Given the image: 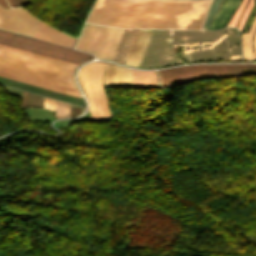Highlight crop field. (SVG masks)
<instances>
[{"instance_id": "1", "label": "crop field", "mask_w": 256, "mask_h": 256, "mask_svg": "<svg viewBox=\"0 0 256 256\" xmlns=\"http://www.w3.org/2000/svg\"><path fill=\"white\" fill-rule=\"evenodd\" d=\"M211 0H97L87 21L119 27L200 29Z\"/></svg>"}, {"instance_id": "2", "label": "crop field", "mask_w": 256, "mask_h": 256, "mask_svg": "<svg viewBox=\"0 0 256 256\" xmlns=\"http://www.w3.org/2000/svg\"><path fill=\"white\" fill-rule=\"evenodd\" d=\"M76 66L0 45V77L81 98L72 78Z\"/></svg>"}, {"instance_id": "3", "label": "crop field", "mask_w": 256, "mask_h": 256, "mask_svg": "<svg viewBox=\"0 0 256 256\" xmlns=\"http://www.w3.org/2000/svg\"><path fill=\"white\" fill-rule=\"evenodd\" d=\"M158 73L161 86L169 87L201 78L229 77L247 73H256V64L182 66L159 70Z\"/></svg>"}, {"instance_id": "4", "label": "crop field", "mask_w": 256, "mask_h": 256, "mask_svg": "<svg viewBox=\"0 0 256 256\" xmlns=\"http://www.w3.org/2000/svg\"><path fill=\"white\" fill-rule=\"evenodd\" d=\"M0 44L19 48L77 65L85 60L93 59V56L88 54L2 30H0Z\"/></svg>"}, {"instance_id": "5", "label": "crop field", "mask_w": 256, "mask_h": 256, "mask_svg": "<svg viewBox=\"0 0 256 256\" xmlns=\"http://www.w3.org/2000/svg\"><path fill=\"white\" fill-rule=\"evenodd\" d=\"M125 29L86 23L76 48L97 58L112 59Z\"/></svg>"}, {"instance_id": "6", "label": "crop field", "mask_w": 256, "mask_h": 256, "mask_svg": "<svg viewBox=\"0 0 256 256\" xmlns=\"http://www.w3.org/2000/svg\"><path fill=\"white\" fill-rule=\"evenodd\" d=\"M103 67L104 62H92L83 66L78 73L79 81L89 101L92 119L95 121L110 118L102 86Z\"/></svg>"}, {"instance_id": "7", "label": "crop field", "mask_w": 256, "mask_h": 256, "mask_svg": "<svg viewBox=\"0 0 256 256\" xmlns=\"http://www.w3.org/2000/svg\"><path fill=\"white\" fill-rule=\"evenodd\" d=\"M39 21L21 8L4 10L0 7V28L2 29L31 36Z\"/></svg>"}, {"instance_id": "8", "label": "crop field", "mask_w": 256, "mask_h": 256, "mask_svg": "<svg viewBox=\"0 0 256 256\" xmlns=\"http://www.w3.org/2000/svg\"><path fill=\"white\" fill-rule=\"evenodd\" d=\"M105 87H134L130 69L105 63Z\"/></svg>"}, {"instance_id": "9", "label": "crop field", "mask_w": 256, "mask_h": 256, "mask_svg": "<svg viewBox=\"0 0 256 256\" xmlns=\"http://www.w3.org/2000/svg\"><path fill=\"white\" fill-rule=\"evenodd\" d=\"M32 37H36L39 39L47 40L50 42H54L57 44L70 46V47L73 46V44L76 40L75 38H73L67 34H64L60 31H57V30L47 26L46 24H44L41 21H40L39 25L37 26L36 30L34 31V33L32 34Z\"/></svg>"}, {"instance_id": "10", "label": "crop field", "mask_w": 256, "mask_h": 256, "mask_svg": "<svg viewBox=\"0 0 256 256\" xmlns=\"http://www.w3.org/2000/svg\"><path fill=\"white\" fill-rule=\"evenodd\" d=\"M153 31L154 30H147V29L139 30L137 37L134 41V44L131 48V51L128 55V58L125 62L126 64L132 65V66L139 65Z\"/></svg>"}, {"instance_id": "11", "label": "crop field", "mask_w": 256, "mask_h": 256, "mask_svg": "<svg viewBox=\"0 0 256 256\" xmlns=\"http://www.w3.org/2000/svg\"><path fill=\"white\" fill-rule=\"evenodd\" d=\"M239 1L240 0H224L215 17L211 21L208 29H218L225 26Z\"/></svg>"}, {"instance_id": "12", "label": "crop field", "mask_w": 256, "mask_h": 256, "mask_svg": "<svg viewBox=\"0 0 256 256\" xmlns=\"http://www.w3.org/2000/svg\"><path fill=\"white\" fill-rule=\"evenodd\" d=\"M138 30L139 29H126L125 30L123 37L121 39V42L116 51V54L113 58L114 60H117V61L123 62V63L125 62Z\"/></svg>"}, {"instance_id": "13", "label": "crop field", "mask_w": 256, "mask_h": 256, "mask_svg": "<svg viewBox=\"0 0 256 256\" xmlns=\"http://www.w3.org/2000/svg\"><path fill=\"white\" fill-rule=\"evenodd\" d=\"M132 76L135 87L148 88L158 87L155 71H136L132 70Z\"/></svg>"}, {"instance_id": "14", "label": "crop field", "mask_w": 256, "mask_h": 256, "mask_svg": "<svg viewBox=\"0 0 256 256\" xmlns=\"http://www.w3.org/2000/svg\"><path fill=\"white\" fill-rule=\"evenodd\" d=\"M255 27H256V17L252 23V26L248 34H245V33L242 34V52H243L244 59H256V33H255V40H254L255 57L253 55L252 48H251V39H252V35Z\"/></svg>"}, {"instance_id": "15", "label": "crop field", "mask_w": 256, "mask_h": 256, "mask_svg": "<svg viewBox=\"0 0 256 256\" xmlns=\"http://www.w3.org/2000/svg\"><path fill=\"white\" fill-rule=\"evenodd\" d=\"M246 1H247V0H243V1H242V3L240 4V6L237 8V10L235 11V13L233 14V16H232V18H231V20H230V22H229L228 25L236 26L237 21H238L239 16H240V14H241V12H242V10H243V8H244V5H245ZM255 1H256V0H250V1H249L248 5H247V7H246V9H245V11H244V13H243V16H242V18H241V20H240V22H239V24H238V29H239V30L242 29L243 23H244V21H245L247 15H248V13H249V11H250V9H251L253 3H254ZM254 4H255V3H254Z\"/></svg>"}, {"instance_id": "16", "label": "crop field", "mask_w": 256, "mask_h": 256, "mask_svg": "<svg viewBox=\"0 0 256 256\" xmlns=\"http://www.w3.org/2000/svg\"><path fill=\"white\" fill-rule=\"evenodd\" d=\"M70 117V104L56 100V118Z\"/></svg>"}, {"instance_id": "17", "label": "crop field", "mask_w": 256, "mask_h": 256, "mask_svg": "<svg viewBox=\"0 0 256 256\" xmlns=\"http://www.w3.org/2000/svg\"><path fill=\"white\" fill-rule=\"evenodd\" d=\"M222 0H215L210 8V11L208 13V16H207V19H206V22L204 24V27L203 29H206L210 20L212 19L213 15L215 14V12L217 11L218 7L220 6Z\"/></svg>"}, {"instance_id": "18", "label": "crop field", "mask_w": 256, "mask_h": 256, "mask_svg": "<svg viewBox=\"0 0 256 256\" xmlns=\"http://www.w3.org/2000/svg\"><path fill=\"white\" fill-rule=\"evenodd\" d=\"M10 7H21L23 5L29 4V0H7Z\"/></svg>"}, {"instance_id": "19", "label": "crop field", "mask_w": 256, "mask_h": 256, "mask_svg": "<svg viewBox=\"0 0 256 256\" xmlns=\"http://www.w3.org/2000/svg\"><path fill=\"white\" fill-rule=\"evenodd\" d=\"M44 108L55 111V100L45 97Z\"/></svg>"}, {"instance_id": "20", "label": "crop field", "mask_w": 256, "mask_h": 256, "mask_svg": "<svg viewBox=\"0 0 256 256\" xmlns=\"http://www.w3.org/2000/svg\"><path fill=\"white\" fill-rule=\"evenodd\" d=\"M215 50H216V54H217L218 58H227L224 48H218V49H215Z\"/></svg>"}, {"instance_id": "21", "label": "crop field", "mask_w": 256, "mask_h": 256, "mask_svg": "<svg viewBox=\"0 0 256 256\" xmlns=\"http://www.w3.org/2000/svg\"><path fill=\"white\" fill-rule=\"evenodd\" d=\"M0 4L3 5L5 8H9L5 0H0Z\"/></svg>"}]
</instances>
